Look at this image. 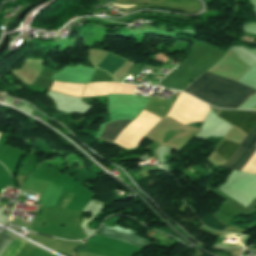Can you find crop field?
<instances>
[{"label":"crop field","instance_id":"8a807250","mask_svg":"<svg viewBox=\"0 0 256 256\" xmlns=\"http://www.w3.org/2000/svg\"><path fill=\"white\" fill-rule=\"evenodd\" d=\"M184 92L217 107L237 109L256 91L238 82L204 73L196 79Z\"/></svg>","mask_w":256,"mask_h":256},{"label":"crop field","instance_id":"ac0d7876","mask_svg":"<svg viewBox=\"0 0 256 256\" xmlns=\"http://www.w3.org/2000/svg\"><path fill=\"white\" fill-rule=\"evenodd\" d=\"M256 153V127L245 137L233 157L222 167L241 171L248 161Z\"/></svg>","mask_w":256,"mask_h":256},{"label":"crop field","instance_id":"34b2d1b8","mask_svg":"<svg viewBox=\"0 0 256 256\" xmlns=\"http://www.w3.org/2000/svg\"><path fill=\"white\" fill-rule=\"evenodd\" d=\"M220 118L248 134L256 126V112L222 110Z\"/></svg>","mask_w":256,"mask_h":256},{"label":"crop field","instance_id":"412701ff","mask_svg":"<svg viewBox=\"0 0 256 256\" xmlns=\"http://www.w3.org/2000/svg\"><path fill=\"white\" fill-rule=\"evenodd\" d=\"M98 235L118 239L134 246L140 247L142 249H144L148 244L151 243L147 240L137 237L135 232L120 227L118 225H115L113 228L103 226L102 229L99 231Z\"/></svg>","mask_w":256,"mask_h":256},{"label":"crop field","instance_id":"f4fd0767","mask_svg":"<svg viewBox=\"0 0 256 256\" xmlns=\"http://www.w3.org/2000/svg\"><path fill=\"white\" fill-rule=\"evenodd\" d=\"M14 238L6 234H0V254ZM25 242L15 238L0 256H15L24 246Z\"/></svg>","mask_w":256,"mask_h":256},{"label":"crop field","instance_id":"dd49c442","mask_svg":"<svg viewBox=\"0 0 256 256\" xmlns=\"http://www.w3.org/2000/svg\"><path fill=\"white\" fill-rule=\"evenodd\" d=\"M131 121L132 120H121L107 124L100 139L111 143L116 138V136L125 128V126Z\"/></svg>","mask_w":256,"mask_h":256},{"label":"crop field","instance_id":"e52e79f7","mask_svg":"<svg viewBox=\"0 0 256 256\" xmlns=\"http://www.w3.org/2000/svg\"><path fill=\"white\" fill-rule=\"evenodd\" d=\"M238 146V143L223 140L215 151L227 161L234 154Z\"/></svg>","mask_w":256,"mask_h":256}]
</instances>
